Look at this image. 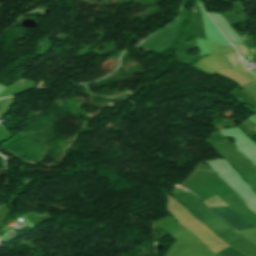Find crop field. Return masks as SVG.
Wrapping results in <instances>:
<instances>
[{
  "mask_svg": "<svg viewBox=\"0 0 256 256\" xmlns=\"http://www.w3.org/2000/svg\"><path fill=\"white\" fill-rule=\"evenodd\" d=\"M210 209L217 213L219 216H221L223 219H225L237 230L255 227L243 217H241L239 214H237L235 211H233L229 206L213 207Z\"/></svg>",
  "mask_w": 256,
  "mask_h": 256,
  "instance_id": "crop-field-1",
  "label": "crop field"
},
{
  "mask_svg": "<svg viewBox=\"0 0 256 256\" xmlns=\"http://www.w3.org/2000/svg\"><path fill=\"white\" fill-rule=\"evenodd\" d=\"M220 253L225 256H244L243 254L239 253L238 251H236L235 249H233L231 247L221 251Z\"/></svg>",
  "mask_w": 256,
  "mask_h": 256,
  "instance_id": "crop-field-2",
  "label": "crop field"
},
{
  "mask_svg": "<svg viewBox=\"0 0 256 256\" xmlns=\"http://www.w3.org/2000/svg\"><path fill=\"white\" fill-rule=\"evenodd\" d=\"M238 53L242 55V57L244 58V60H246L247 58V50L245 48L244 45H237V44H234Z\"/></svg>",
  "mask_w": 256,
  "mask_h": 256,
  "instance_id": "crop-field-3",
  "label": "crop field"
},
{
  "mask_svg": "<svg viewBox=\"0 0 256 256\" xmlns=\"http://www.w3.org/2000/svg\"><path fill=\"white\" fill-rule=\"evenodd\" d=\"M227 58L231 63L232 67H236L238 65L239 61L235 53L227 55Z\"/></svg>",
  "mask_w": 256,
  "mask_h": 256,
  "instance_id": "crop-field-4",
  "label": "crop field"
}]
</instances>
